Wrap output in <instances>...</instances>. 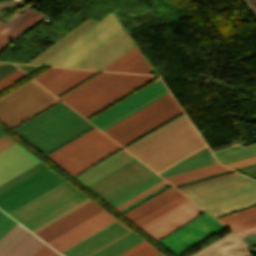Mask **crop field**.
<instances>
[{
    "label": "crop field",
    "instance_id": "8a807250",
    "mask_svg": "<svg viewBox=\"0 0 256 256\" xmlns=\"http://www.w3.org/2000/svg\"><path fill=\"white\" fill-rule=\"evenodd\" d=\"M95 24L97 22L87 19L29 63L43 65ZM121 27L111 13L44 65L69 67ZM132 47L134 45L122 27L70 67L104 70ZM105 70L145 74L153 72L135 47Z\"/></svg>",
    "mask_w": 256,
    "mask_h": 256
},
{
    "label": "crop field",
    "instance_id": "ac0d7876",
    "mask_svg": "<svg viewBox=\"0 0 256 256\" xmlns=\"http://www.w3.org/2000/svg\"><path fill=\"white\" fill-rule=\"evenodd\" d=\"M204 145L183 115L125 149L159 172Z\"/></svg>",
    "mask_w": 256,
    "mask_h": 256
},
{
    "label": "crop field",
    "instance_id": "34b2d1b8",
    "mask_svg": "<svg viewBox=\"0 0 256 256\" xmlns=\"http://www.w3.org/2000/svg\"><path fill=\"white\" fill-rule=\"evenodd\" d=\"M90 124L62 102L12 131L45 155L93 127Z\"/></svg>",
    "mask_w": 256,
    "mask_h": 256
},
{
    "label": "crop field",
    "instance_id": "412701ff",
    "mask_svg": "<svg viewBox=\"0 0 256 256\" xmlns=\"http://www.w3.org/2000/svg\"><path fill=\"white\" fill-rule=\"evenodd\" d=\"M186 199L172 187L124 216L139 227ZM202 211L188 199L139 228L157 241Z\"/></svg>",
    "mask_w": 256,
    "mask_h": 256
},
{
    "label": "crop field",
    "instance_id": "f4fd0767",
    "mask_svg": "<svg viewBox=\"0 0 256 256\" xmlns=\"http://www.w3.org/2000/svg\"><path fill=\"white\" fill-rule=\"evenodd\" d=\"M152 78L102 72L59 98L86 118Z\"/></svg>",
    "mask_w": 256,
    "mask_h": 256
},
{
    "label": "crop field",
    "instance_id": "dd49c442",
    "mask_svg": "<svg viewBox=\"0 0 256 256\" xmlns=\"http://www.w3.org/2000/svg\"><path fill=\"white\" fill-rule=\"evenodd\" d=\"M181 192L195 203H199L198 205L214 217L256 203V181L240 174L181 190Z\"/></svg>",
    "mask_w": 256,
    "mask_h": 256
},
{
    "label": "crop field",
    "instance_id": "e52e79f7",
    "mask_svg": "<svg viewBox=\"0 0 256 256\" xmlns=\"http://www.w3.org/2000/svg\"><path fill=\"white\" fill-rule=\"evenodd\" d=\"M86 199L65 181L8 214L31 231Z\"/></svg>",
    "mask_w": 256,
    "mask_h": 256
},
{
    "label": "crop field",
    "instance_id": "d8731c3e",
    "mask_svg": "<svg viewBox=\"0 0 256 256\" xmlns=\"http://www.w3.org/2000/svg\"><path fill=\"white\" fill-rule=\"evenodd\" d=\"M119 148L95 128L46 157L73 177Z\"/></svg>",
    "mask_w": 256,
    "mask_h": 256
},
{
    "label": "crop field",
    "instance_id": "5a996713",
    "mask_svg": "<svg viewBox=\"0 0 256 256\" xmlns=\"http://www.w3.org/2000/svg\"><path fill=\"white\" fill-rule=\"evenodd\" d=\"M181 113L168 93L103 132L123 146Z\"/></svg>",
    "mask_w": 256,
    "mask_h": 256
},
{
    "label": "crop field",
    "instance_id": "3316defc",
    "mask_svg": "<svg viewBox=\"0 0 256 256\" xmlns=\"http://www.w3.org/2000/svg\"><path fill=\"white\" fill-rule=\"evenodd\" d=\"M56 100L32 80L0 99V119L11 127Z\"/></svg>",
    "mask_w": 256,
    "mask_h": 256
},
{
    "label": "crop field",
    "instance_id": "28ad6ade",
    "mask_svg": "<svg viewBox=\"0 0 256 256\" xmlns=\"http://www.w3.org/2000/svg\"><path fill=\"white\" fill-rule=\"evenodd\" d=\"M153 174L134 158L86 187L107 202Z\"/></svg>",
    "mask_w": 256,
    "mask_h": 256
},
{
    "label": "crop field",
    "instance_id": "d1516ede",
    "mask_svg": "<svg viewBox=\"0 0 256 256\" xmlns=\"http://www.w3.org/2000/svg\"><path fill=\"white\" fill-rule=\"evenodd\" d=\"M166 93L158 79L88 121L103 131Z\"/></svg>",
    "mask_w": 256,
    "mask_h": 256
},
{
    "label": "crop field",
    "instance_id": "22f410ed",
    "mask_svg": "<svg viewBox=\"0 0 256 256\" xmlns=\"http://www.w3.org/2000/svg\"><path fill=\"white\" fill-rule=\"evenodd\" d=\"M232 171L216 163L211 153L180 161L159 174L175 187Z\"/></svg>",
    "mask_w": 256,
    "mask_h": 256
},
{
    "label": "crop field",
    "instance_id": "cbeb9de0",
    "mask_svg": "<svg viewBox=\"0 0 256 256\" xmlns=\"http://www.w3.org/2000/svg\"><path fill=\"white\" fill-rule=\"evenodd\" d=\"M17 224L0 210V239ZM44 244L18 224L0 240V256H32Z\"/></svg>",
    "mask_w": 256,
    "mask_h": 256
},
{
    "label": "crop field",
    "instance_id": "5142ce71",
    "mask_svg": "<svg viewBox=\"0 0 256 256\" xmlns=\"http://www.w3.org/2000/svg\"><path fill=\"white\" fill-rule=\"evenodd\" d=\"M223 228L206 212L159 243L177 256Z\"/></svg>",
    "mask_w": 256,
    "mask_h": 256
},
{
    "label": "crop field",
    "instance_id": "d9b57169",
    "mask_svg": "<svg viewBox=\"0 0 256 256\" xmlns=\"http://www.w3.org/2000/svg\"><path fill=\"white\" fill-rule=\"evenodd\" d=\"M129 232L115 220L59 253L63 256H89Z\"/></svg>",
    "mask_w": 256,
    "mask_h": 256
},
{
    "label": "crop field",
    "instance_id": "733c2abd",
    "mask_svg": "<svg viewBox=\"0 0 256 256\" xmlns=\"http://www.w3.org/2000/svg\"><path fill=\"white\" fill-rule=\"evenodd\" d=\"M169 186L156 174L107 204L121 214Z\"/></svg>",
    "mask_w": 256,
    "mask_h": 256
},
{
    "label": "crop field",
    "instance_id": "4a817a6b",
    "mask_svg": "<svg viewBox=\"0 0 256 256\" xmlns=\"http://www.w3.org/2000/svg\"><path fill=\"white\" fill-rule=\"evenodd\" d=\"M95 73L97 72L52 68L33 79L57 96Z\"/></svg>",
    "mask_w": 256,
    "mask_h": 256
},
{
    "label": "crop field",
    "instance_id": "bc2a9ffb",
    "mask_svg": "<svg viewBox=\"0 0 256 256\" xmlns=\"http://www.w3.org/2000/svg\"><path fill=\"white\" fill-rule=\"evenodd\" d=\"M101 210L91 201L34 234L47 243Z\"/></svg>",
    "mask_w": 256,
    "mask_h": 256
},
{
    "label": "crop field",
    "instance_id": "214f88e0",
    "mask_svg": "<svg viewBox=\"0 0 256 256\" xmlns=\"http://www.w3.org/2000/svg\"><path fill=\"white\" fill-rule=\"evenodd\" d=\"M115 220L104 210L47 243L58 252Z\"/></svg>",
    "mask_w": 256,
    "mask_h": 256
},
{
    "label": "crop field",
    "instance_id": "92a150f3",
    "mask_svg": "<svg viewBox=\"0 0 256 256\" xmlns=\"http://www.w3.org/2000/svg\"><path fill=\"white\" fill-rule=\"evenodd\" d=\"M218 162L235 170L256 165V143L233 147L213 154Z\"/></svg>",
    "mask_w": 256,
    "mask_h": 256
},
{
    "label": "crop field",
    "instance_id": "dafd665d",
    "mask_svg": "<svg viewBox=\"0 0 256 256\" xmlns=\"http://www.w3.org/2000/svg\"><path fill=\"white\" fill-rule=\"evenodd\" d=\"M63 181L65 180L54 173L8 201L2 203L0 205V209L8 213Z\"/></svg>",
    "mask_w": 256,
    "mask_h": 256
},
{
    "label": "crop field",
    "instance_id": "00972430",
    "mask_svg": "<svg viewBox=\"0 0 256 256\" xmlns=\"http://www.w3.org/2000/svg\"><path fill=\"white\" fill-rule=\"evenodd\" d=\"M132 158L134 157L123 149L74 179L86 186Z\"/></svg>",
    "mask_w": 256,
    "mask_h": 256
},
{
    "label": "crop field",
    "instance_id": "a9b5d70f",
    "mask_svg": "<svg viewBox=\"0 0 256 256\" xmlns=\"http://www.w3.org/2000/svg\"><path fill=\"white\" fill-rule=\"evenodd\" d=\"M228 226L234 233L256 226V207L219 219ZM248 233H256V227L236 233L244 237Z\"/></svg>",
    "mask_w": 256,
    "mask_h": 256
},
{
    "label": "crop field",
    "instance_id": "4177f3b9",
    "mask_svg": "<svg viewBox=\"0 0 256 256\" xmlns=\"http://www.w3.org/2000/svg\"><path fill=\"white\" fill-rule=\"evenodd\" d=\"M42 16L43 15L39 13L28 10L6 25L0 22V28L5 25L0 29V45L37 21Z\"/></svg>",
    "mask_w": 256,
    "mask_h": 256
},
{
    "label": "crop field",
    "instance_id": "730fd06b",
    "mask_svg": "<svg viewBox=\"0 0 256 256\" xmlns=\"http://www.w3.org/2000/svg\"><path fill=\"white\" fill-rule=\"evenodd\" d=\"M52 173L54 172H52L50 169L46 167L41 171L35 173L34 175L30 176L29 178L18 183L17 185L13 186L12 188L6 190L5 192L0 194V204L8 200L9 198L13 197L14 195L20 193L21 191L25 190L26 188L30 187L31 185L42 180L43 178L49 176Z\"/></svg>",
    "mask_w": 256,
    "mask_h": 256
},
{
    "label": "crop field",
    "instance_id": "eef30255",
    "mask_svg": "<svg viewBox=\"0 0 256 256\" xmlns=\"http://www.w3.org/2000/svg\"><path fill=\"white\" fill-rule=\"evenodd\" d=\"M25 76H26V74H24L19 69L14 71L13 73L7 75L6 77H4L0 80V90L6 88L7 86L13 84L14 82L20 80L21 78H23Z\"/></svg>",
    "mask_w": 256,
    "mask_h": 256
},
{
    "label": "crop field",
    "instance_id": "ae1a2a85",
    "mask_svg": "<svg viewBox=\"0 0 256 256\" xmlns=\"http://www.w3.org/2000/svg\"><path fill=\"white\" fill-rule=\"evenodd\" d=\"M16 69L18 68H16L12 64H4V63L0 64V79L6 76L7 74L13 72Z\"/></svg>",
    "mask_w": 256,
    "mask_h": 256
},
{
    "label": "crop field",
    "instance_id": "d3111659",
    "mask_svg": "<svg viewBox=\"0 0 256 256\" xmlns=\"http://www.w3.org/2000/svg\"><path fill=\"white\" fill-rule=\"evenodd\" d=\"M89 201H91V200H89V199H88V200H86V201L82 202L81 204H79V205L75 206L74 208H72V209L68 210L67 212H65V213L61 214L60 216H58V217H56V218L52 219L51 221H49V222L45 223L44 225H42V226L38 227L37 229H35V230L31 231V232H33V233H34V232H36V231L40 230L41 228H43V227L47 226L48 224H50V223L54 222L55 220H57V219L61 218L62 216H64V215H66V214L70 213L71 211H73V210L77 209L78 207H80V206L84 205L85 203H87V202H89Z\"/></svg>",
    "mask_w": 256,
    "mask_h": 256
},
{
    "label": "crop field",
    "instance_id": "750c4746",
    "mask_svg": "<svg viewBox=\"0 0 256 256\" xmlns=\"http://www.w3.org/2000/svg\"><path fill=\"white\" fill-rule=\"evenodd\" d=\"M13 143H15V142H13L11 139H9L5 135L0 137V151L5 149L6 147L12 145Z\"/></svg>",
    "mask_w": 256,
    "mask_h": 256
},
{
    "label": "crop field",
    "instance_id": "bd1437ed",
    "mask_svg": "<svg viewBox=\"0 0 256 256\" xmlns=\"http://www.w3.org/2000/svg\"><path fill=\"white\" fill-rule=\"evenodd\" d=\"M244 238H256V234H248Z\"/></svg>",
    "mask_w": 256,
    "mask_h": 256
},
{
    "label": "crop field",
    "instance_id": "1d83c4d3",
    "mask_svg": "<svg viewBox=\"0 0 256 256\" xmlns=\"http://www.w3.org/2000/svg\"><path fill=\"white\" fill-rule=\"evenodd\" d=\"M256 9V0H249Z\"/></svg>",
    "mask_w": 256,
    "mask_h": 256
},
{
    "label": "crop field",
    "instance_id": "120bbe31",
    "mask_svg": "<svg viewBox=\"0 0 256 256\" xmlns=\"http://www.w3.org/2000/svg\"><path fill=\"white\" fill-rule=\"evenodd\" d=\"M155 256H163V255H161V254L159 253V254H157V255H155Z\"/></svg>",
    "mask_w": 256,
    "mask_h": 256
},
{
    "label": "crop field",
    "instance_id": "d32e631a",
    "mask_svg": "<svg viewBox=\"0 0 256 256\" xmlns=\"http://www.w3.org/2000/svg\"><path fill=\"white\" fill-rule=\"evenodd\" d=\"M32 1H33V0H32ZM34 1L37 2V3L39 2V0H34Z\"/></svg>",
    "mask_w": 256,
    "mask_h": 256
},
{
    "label": "crop field",
    "instance_id": "5866460e",
    "mask_svg": "<svg viewBox=\"0 0 256 256\" xmlns=\"http://www.w3.org/2000/svg\"><path fill=\"white\" fill-rule=\"evenodd\" d=\"M3 135L1 132H0V136Z\"/></svg>",
    "mask_w": 256,
    "mask_h": 256
}]
</instances>
